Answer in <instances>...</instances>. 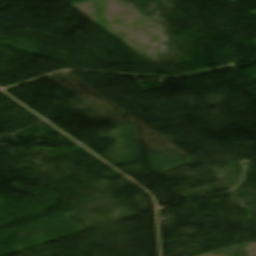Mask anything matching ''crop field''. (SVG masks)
<instances>
[{"label": "crop field", "mask_w": 256, "mask_h": 256, "mask_svg": "<svg viewBox=\"0 0 256 256\" xmlns=\"http://www.w3.org/2000/svg\"><path fill=\"white\" fill-rule=\"evenodd\" d=\"M252 43L256 44V40H255V41H252Z\"/></svg>", "instance_id": "8a807250"}]
</instances>
